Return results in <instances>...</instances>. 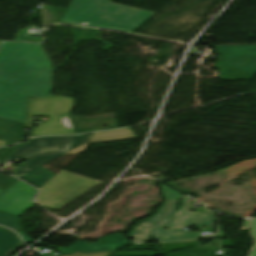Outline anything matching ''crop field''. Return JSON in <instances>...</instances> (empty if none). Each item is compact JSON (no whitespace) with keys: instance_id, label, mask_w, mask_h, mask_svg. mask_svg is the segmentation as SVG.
Segmentation results:
<instances>
[{"instance_id":"5","label":"crop field","mask_w":256,"mask_h":256,"mask_svg":"<svg viewBox=\"0 0 256 256\" xmlns=\"http://www.w3.org/2000/svg\"><path fill=\"white\" fill-rule=\"evenodd\" d=\"M52 98H28L26 127L31 128L33 116H51L49 121L38 124L32 131L33 136L48 134H74L65 127L61 119L68 115L73 99L51 96Z\"/></svg>"},{"instance_id":"19","label":"crop field","mask_w":256,"mask_h":256,"mask_svg":"<svg viewBox=\"0 0 256 256\" xmlns=\"http://www.w3.org/2000/svg\"><path fill=\"white\" fill-rule=\"evenodd\" d=\"M62 121H63V123H64L66 126H68L69 128L74 129L73 126H72V124H71V121L68 120V117L62 119Z\"/></svg>"},{"instance_id":"16","label":"crop field","mask_w":256,"mask_h":256,"mask_svg":"<svg viewBox=\"0 0 256 256\" xmlns=\"http://www.w3.org/2000/svg\"><path fill=\"white\" fill-rule=\"evenodd\" d=\"M252 222V234L256 239V219H251ZM250 256H256V246Z\"/></svg>"},{"instance_id":"10","label":"crop field","mask_w":256,"mask_h":256,"mask_svg":"<svg viewBox=\"0 0 256 256\" xmlns=\"http://www.w3.org/2000/svg\"><path fill=\"white\" fill-rule=\"evenodd\" d=\"M25 123L6 121L0 119V139H5L6 144H13L23 139Z\"/></svg>"},{"instance_id":"15","label":"crop field","mask_w":256,"mask_h":256,"mask_svg":"<svg viewBox=\"0 0 256 256\" xmlns=\"http://www.w3.org/2000/svg\"><path fill=\"white\" fill-rule=\"evenodd\" d=\"M5 147L0 149V163L18 146Z\"/></svg>"},{"instance_id":"6","label":"crop field","mask_w":256,"mask_h":256,"mask_svg":"<svg viewBox=\"0 0 256 256\" xmlns=\"http://www.w3.org/2000/svg\"><path fill=\"white\" fill-rule=\"evenodd\" d=\"M40 189L37 202L56 210L97 185L100 181L61 171Z\"/></svg>"},{"instance_id":"22","label":"crop field","mask_w":256,"mask_h":256,"mask_svg":"<svg viewBox=\"0 0 256 256\" xmlns=\"http://www.w3.org/2000/svg\"><path fill=\"white\" fill-rule=\"evenodd\" d=\"M2 41H0V44H1Z\"/></svg>"},{"instance_id":"18","label":"crop field","mask_w":256,"mask_h":256,"mask_svg":"<svg viewBox=\"0 0 256 256\" xmlns=\"http://www.w3.org/2000/svg\"><path fill=\"white\" fill-rule=\"evenodd\" d=\"M18 234L24 239L25 242H32L33 241L24 232H18Z\"/></svg>"},{"instance_id":"9","label":"crop field","mask_w":256,"mask_h":256,"mask_svg":"<svg viewBox=\"0 0 256 256\" xmlns=\"http://www.w3.org/2000/svg\"><path fill=\"white\" fill-rule=\"evenodd\" d=\"M128 242L124 240L119 233H115L106 238L97 240L94 243H86L84 241H78L69 248H60V247H52L56 249L62 255L68 254H80V253H92V252H106L113 251L116 248L127 244Z\"/></svg>"},{"instance_id":"13","label":"crop field","mask_w":256,"mask_h":256,"mask_svg":"<svg viewBox=\"0 0 256 256\" xmlns=\"http://www.w3.org/2000/svg\"><path fill=\"white\" fill-rule=\"evenodd\" d=\"M20 219L14 216L0 212V224L6 225L13 230H21L19 225Z\"/></svg>"},{"instance_id":"7","label":"crop field","mask_w":256,"mask_h":256,"mask_svg":"<svg viewBox=\"0 0 256 256\" xmlns=\"http://www.w3.org/2000/svg\"><path fill=\"white\" fill-rule=\"evenodd\" d=\"M216 68L220 80L252 79L256 73V45L218 46Z\"/></svg>"},{"instance_id":"21","label":"crop field","mask_w":256,"mask_h":256,"mask_svg":"<svg viewBox=\"0 0 256 256\" xmlns=\"http://www.w3.org/2000/svg\"><path fill=\"white\" fill-rule=\"evenodd\" d=\"M2 192V190H0V193Z\"/></svg>"},{"instance_id":"17","label":"crop field","mask_w":256,"mask_h":256,"mask_svg":"<svg viewBox=\"0 0 256 256\" xmlns=\"http://www.w3.org/2000/svg\"><path fill=\"white\" fill-rule=\"evenodd\" d=\"M110 252L107 253H93V254H81V255H69V256H106Z\"/></svg>"},{"instance_id":"12","label":"crop field","mask_w":256,"mask_h":256,"mask_svg":"<svg viewBox=\"0 0 256 256\" xmlns=\"http://www.w3.org/2000/svg\"><path fill=\"white\" fill-rule=\"evenodd\" d=\"M20 246L22 245L16 235L0 228V256H8Z\"/></svg>"},{"instance_id":"2","label":"crop field","mask_w":256,"mask_h":256,"mask_svg":"<svg viewBox=\"0 0 256 256\" xmlns=\"http://www.w3.org/2000/svg\"><path fill=\"white\" fill-rule=\"evenodd\" d=\"M160 186L166 200L156 214L133 228L129 235V238H133L132 245L145 244V241L150 240V236L158 243L197 241L200 231L188 232L182 231V228L188 226L214 227L215 212L209 210L205 205L202 213L189 212L191 198L163 184ZM178 199H181L182 203L180 208L174 211Z\"/></svg>"},{"instance_id":"4","label":"crop field","mask_w":256,"mask_h":256,"mask_svg":"<svg viewBox=\"0 0 256 256\" xmlns=\"http://www.w3.org/2000/svg\"><path fill=\"white\" fill-rule=\"evenodd\" d=\"M154 14L109 0H71L60 22L132 33Z\"/></svg>"},{"instance_id":"11","label":"crop field","mask_w":256,"mask_h":256,"mask_svg":"<svg viewBox=\"0 0 256 256\" xmlns=\"http://www.w3.org/2000/svg\"><path fill=\"white\" fill-rule=\"evenodd\" d=\"M127 138H136V136L129 128L93 133V137L89 143H98Z\"/></svg>"},{"instance_id":"14","label":"crop field","mask_w":256,"mask_h":256,"mask_svg":"<svg viewBox=\"0 0 256 256\" xmlns=\"http://www.w3.org/2000/svg\"><path fill=\"white\" fill-rule=\"evenodd\" d=\"M17 179H14L8 175L0 173V189L5 190L12 185Z\"/></svg>"},{"instance_id":"20","label":"crop field","mask_w":256,"mask_h":256,"mask_svg":"<svg viewBox=\"0 0 256 256\" xmlns=\"http://www.w3.org/2000/svg\"><path fill=\"white\" fill-rule=\"evenodd\" d=\"M6 145L4 140H0V146Z\"/></svg>"},{"instance_id":"8","label":"crop field","mask_w":256,"mask_h":256,"mask_svg":"<svg viewBox=\"0 0 256 256\" xmlns=\"http://www.w3.org/2000/svg\"><path fill=\"white\" fill-rule=\"evenodd\" d=\"M35 192V188L18 181L0 195V210L20 216L34 204Z\"/></svg>"},{"instance_id":"3","label":"crop field","mask_w":256,"mask_h":256,"mask_svg":"<svg viewBox=\"0 0 256 256\" xmlns=\"http://www.w3.org/2000/svg\"><path fill=\"white\" fill-rule=\"evenodd\" d=\"M91 136H54L29 140L20 144L6 160H25L11 174L41 187L55 174L41 166L63 155L83 152ZM0 164V165H1ZM26 175L21 177L20 175Z\"/></svg>"},{"instance_id":"1","label":"crop field","mask_w":256,"mask_h":256,"mask_svg":"<svg viewBox=\"0 0 256 256\" xmlns=\"http://www.w3.org/2000/svg\"><path fill=\"white\" fill-rule=\"evenodd\" d=\"M51 78L42 45L5 42L0 49V118L25 122L27 97H50Z\"/></svg>"}]
</instances>
